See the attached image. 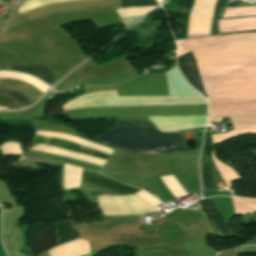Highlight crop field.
<instances>
[{
  "mask_svg": "<svg viewBox=\"0 0 256 256\" xmlns=\"http://www.w3.org/2000/svg\"><path fill=\"white\" fill-rule=\"evenodd\" d=\"M0 94L17 107H24L33 102L28 100L23 95L16 93L14 91L0 90Z\"/></svg>",
  "mask_w": 256,
  "mask_h": 256,
  "instance_id": "obj_11",
  "label": "crop field"
},
{
  "mask_svg": "<svg viewBox=\"0 0 256 256\" xmlns=\"http://www.w3.org/2000/svg\"><path fill=\"white\" fill-rule=\"evenodd\" d=\"M57 228L55 235L58 239V244L66 241L77 239L80 233L73 228L72 221H66L54 224Z\"/></svg>",
  "mask_w": 256,
  "mask_h": 256,
  "instance_id": "obj_9",
  "label": "crop field"
},
{
  "mask_svg": "<svg viewBox=\"0 0 256 256\" xmlns=\"http://www.w3.org/2000/svg\"><path fill=\"white\" fill-rule=\"evenodd\" d=\"M6 1V3H8L10 0H5Z\"/></svg>",
  "mask_w": 256,
  "mask_h": 256,
  "instance_id": "obj_17",
  "label": "crop field"
},
{
  "mask_svg": "<svg viewBox=\"0 0 256 256\" xmlns=\"http://www.w3.org/2000/svg\"><path fill=\"white\" fill-rule=\"evenodd\" d=\"M83 180L93 183V184H97V185L109 188V189H112V190L120 192L122 194L135 193V192L139 191V189L125 186V185L119 184L117 182H114L112 180H109L107 178L89 174V173H85V172H83Z\"/></svg>",
  "mask_w": 256,
  "mask_h": 256,
  "instance_id": "obj_6",
  "label": "crop field"
},
{
  "mask_svg": "<svg viewBox=\"0 0 256 256\" xmlns=\"http://www.w3.org/2000/svg\"><path fill=\"white\" fill-rule=\"evenodd\" d=\"M198 203L201 205L205 213L208 215L217 230L220 232V234L232 235L228 225L225 223L210 198L206 200H200L198 201Z\"/></svg>",
  "mask_w": 256,
  "mask_h": 256,
  "instance_id": "obj_5",
  "label": "crop field"
},
{
  "mask_svg": "<svg viewBox=\"0 0 256 256\" xmlns=\"http://www.w3.org/2000/svg\"><path fill=\"white\" fill-rule=\"evenodd\" d=\"M1 70H14V71L28 73V74H31L33 76L40 78L41 80L45 81L49 85H51L52 82L54 81V75H53L52 71L42 65H25V64L15 65V64H12L9 67L1 69Z\"/></svg>",
  "mask_w": 256,
  "mask_h": 256,
  "instance_id": "obj_4",
  "label": "crop field"
},
{
  "mask_svg": "<svg viewBox=\"0 0 256 256\" xmlns=\"http://www.w3.org/2000/svg\"><path fill=\"white\" fill-rule=\"evenodd\" d=\"M202 189L213 188L211 164L201 167Z\"/></svg>",
  "mask_w": 256,
  "mask_h": 256,
  "instance_id": "obj_14",
  "label": "crop field"
},
{
  "mask_svg": "<svg viewBox=\"0 0 256 256\" xmlns=\"http://www.w3.org/2000/svg\"><path fill=\"white\" fill-rule=\"evenodd\" d=\"M209 101L210 121L231 117L234 130L212 135L214 145L256 133V39L226 42L192 51Z\"/></svg>",
  "mask_w": 256,
  "mask_h": 256,
  "instance_id": "obj_1",
  "label": "crop field"
},
{
  "mask_svg": "<svg viewBox=\"0 0 256 256\" xmlns=\"http://www.w3.org/2000/svg\"><path fill=\"white\" fill-rule=\"evenodd\" d=\"M234 196H236V195L234 194ZM236 197H238V196H236ZM238 198H242V199L248 200V201H250V202H252V203H254L256 205V199H249V198H245V197H238Z\"/></svg>",
  "mask_w": 256,
  "mask_h": 256,
  "instance_id": "obj_15",
  "label": "crop field"
},
{
  "mask_svg": "<svg viewBox=\"0 0 256 256\" xmlns=\"http://www.w3.org/2000/svg\"><path fill=\"white\" fill-rule=\"evenodd\" d=\"M232 200H233L236 215L251 213L256 211V208L253 205L243 200L234 199V198H232Z\"/></svg>",
  "mask_w": 256,
  "mask_h": 256,
  "instance_id": "obj_13",
  "label": "crop field"
},
{
  "mask_svg": "<svg viewBox=\"0 0 256 256\" xmlns=\"http://www.w3.org/2000/svg\"><path fill=\"white\" fill-rule=\"evenodd\" d=\"M51 146L67 149L70 151L86 154L89 156H93V157H97V158H101V159H105V160H108V158H109V155H106V154L100 153L98 151L74 144V143H72L70 141H66V140H60V139L54 138L51 143Z\"/></svg>",
  "mask_w": 256,
  "mask_h": 256,
  "instance_id": "obj_8",
  "label": "crop field"
},
{
  "mask_svg": "<svg viewBox=\"0 0 256 256\" xmlns=\"http://www.w3.org/2000/svg\"><path fill=\"white\" fill-rule=\"evenodd\" d=\"M212 160L214 164L216 165L219 173L221 174L223 180L225 181L226 185L230 187L231 181H234L236 179H239L238 175L229 167L225 166L224 164L220 163L213 155V150H212Z\"/></svg>",
  "mask_w": 256,
  "mask_h": 256,
  "instance_id": "obj_10",
  "label": "crop field"
},
{
  "mask_svg": "<svg viewBox=\"0 0 256 256\" xmlns=\"http://www.w3.org/2000/svg\"><path fill=\"white\" fill-rule=\"evenodd\" d=\"M181 73L201 94L206 96L192 52L178 57Z\"/></svg>",
  "mask_w": 256,
  "mask_h": 256,
  "instance_id": "obj_3",
  "label": "crop field"
},
{
  "mask_svg": "<svg viewBox=\"0 0 256 256\" xmlns=\"http://www.w3.org/2000/svg\"><path fill=\"white\" fill-rule=\"evenodd\" d=\"M160 204H161V203H160ZM160 204L156 205L155 207L159 206ZM155 207H154V208H155Z\"/></svg>",
  "mask_w": 256,
  "mask_h": 256,
  "instance_id": "obj_18",
  "label": "crop field"
},
{
  "mask_svg": "<svg viewBox=\"0 0 256 256\" xmlns=\"http://www.w3.org/2000/svg\"><path fill=\"white\" fill-rule=\"evenodd\" d=\"M158 5L156 0H120L118 8L144 7Z\"/></svg>",
  "mask_w": 256,
  "mask_h": 256,
  "instance_id": "obj_12",
  "label": "crop field"
},
{
  "mask_svg": "<svg viewBox=\"0 0 256 256\" xmlns=\"http://www.w3.org/2000/svg\"><path fill=\"white\" fill-rule=\"evenodd\" d=\"M229 0H218L217 2V7L215 8V10L213 11L212 13V16H211V19H210V26H209V33H210V36H214V35H219V29L217 27V19H218V16L220 14V12L222 11L223 7L228 3ZM237 4V1H234L230 4L227 5L226 8H229V7H237L236 6ZM225 8V9H226ZM240 8H244V7H240ZM229 9H236V8H229ZM228 10V9H226ZM225 13V11H224ZM223 14V13H222ZM223 16L224 14L222 15L221 17V20L223 19ZM254 20V19H253ZM242 21H247V20H242ZM228 22H239V21H228ZM220 23H227V22H220ZM248 32H256V31H248ZM248 32H237V33H226V34H222V35H227V34H239V33H248ZM205 37V36H204ZM195 38V37H194ZM190 39V38H188Z\"/></svg>",
  "mask_w": 256,
  "mask_h": 256,
  "instance_id": "obj_7",
  "label": "crop field"
},
{
  "mask_svg": "<svg viewBox=\"0 0 256 256\" xmlns=\"http://www.w3.org/2000/svg\"><path fill=\"white\" fill-rule=\"evenodd\" d=\"M112 130L144 139H171L180 137L179 133L178 137L176 132L160 133L150 122L118 121L117 127ZM113 131L106 132L96 139L121 149L139 153L166 154L186 151L181 138L172 140H143Z\"/></svg>",
  "mask_w": 256,
  "mask_h": 256,
  "instance_id": "obj_2",
  "label": "crop field"
},
{
  "mask_svg": "<svg viewBox=\"0 0 256 256\" xmlns=\"http://www.w3.org/2000/svg\"><path fill=\"white\" fill-rule=\"evenodd\" d=\"M190 256V255H189Z\"/></svg>",
  "mask_w": 256,
  "mask_h": 256,
  "instance_id": "obj_19",
  "label": "crop field"
},
{
  "mask_svg": "<svg viewBox=\"0 0 256 256\" xmlns=\"http://www.w3.org/2000/svg\"><path fill=\"white\" fill-rule=\"evenodd\" d=\"M99 196H108V195L101 194V195H99Z\"/></svg>",
  "mask_w": 256,
  "mask_h": 256,
  "instance_id": "obj_16",
  "label": "crop field"
}]
</instances>
